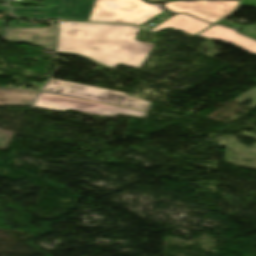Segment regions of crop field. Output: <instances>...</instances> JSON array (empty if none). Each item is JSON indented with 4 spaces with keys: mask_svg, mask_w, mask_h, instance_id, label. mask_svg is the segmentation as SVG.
<instances>
[{
    "mask_svg": "<svg viewBox=\"0 0 256 256\" xmlns=\"http://www.w3.org/2000/svg\"><path fill=\"white\" fill-rule=\"evenodd\" d=\"M58 27L56 53L85 57L109 68L118 63L140 68L153 47L134 40L140 30L134 26L64 22Z\"/></svg>",
    "mask_w": 256,
    "mask_h": 256,
    "instance_id": "1",
    "label": "crop field"
},
{
    "mask_svg": "<svg viewBox=\"0 0 256 256\" xmlns=\"http://www.w3.org/2000/svg\"><path fill=\"white\" fill-rule=\"evenodd\" d=\"M163 11L161 4L143 0H97L88 21L140 25Z\"/></svg>",
    "mask_w": 256,
    "mask_h": 256,
    "instance_id": "2",
    "label": "crop field"
},
{
    "mask_svg": "<svg viewBox=\"0 0 256 256\" xmlns=\"http://www.w3.org/2000/svg\"><path fill=\"white\" fill-rule=\"evenodd\" d=\"M56 28L9 29L4 38L12 43L33 44L54 51Z\"/></svg>",
    "mask_w": 256,
    "mask_h": 256,
    "instance_id": "7",
    "label": "crop field"
},
{
    "mask_svg": "<svg viewBox=\"0 0 256 256\" xmlns=\"http://www.w3.org/2000/svg\"><path fill=\"white\" fill-rule=\"evenodd\" d=\"M45 91L61 93L96 101H102L127 107H132L141 110H148L149 102L134 99L127 96L125 93L84 86L66 81L50 79Z\"/></svg>",
    "mask_w": 256,
    "mask_h": 256,
    "instance_id": "3",
    "label": "crop field"
},
{
    "mask_svg": "<svg viewBox=\"0 0 256 256\" xmlns=\"http://www.w3.org/2000/svg\"><path fill=\"white\" fill-rule=\"evenodd\" d=\"M240 33L256 39V24L245 26Z\"/></svg>",
    "mask_w": 256,
    "mask_h": 256,
    "instance_id": "11",
    "label": "crop field"
},
{
    "mask_svg": "<svg viewBox=\"0 0 256 256\" xmlns=\"http://www.w3.org/2000/svg\"><path fill=\"white\" fill-rule=\"evenodd\" d=\"M96 0H43V8H12L15 16L60 20L87 21ZM38 11L39 14L33 13Z\"/></svg>",
    "mask_w": 256,
    "mask_h": 256,
    "instance_id": "4",
    "label": "crop field"
},
{
    "mask_svg": "<svg viewBox=\"0 0 256 256\" xmlns=\"http://www.w3.org/2000/svg\"><path fill=\"white\" fill-rule=\"evenodd\" d=\"M35 107L64 111L68 109L82 111L98 116L110 117L117 113L145 117L147 113L124 109L77 98L61 96L42 92L37 100Z\"/></svg>",
    "mask_w": 256,
    "mask_h": 256,
    "instance_id": "5",
    "label": "crop field"
},
{
    "mask_svg": "<svg viewBox=\"0 0 256 256\" xmlns=\"http://www.w3.org/2000/svg\"><path fill=\"white\" fill-rule=\"evenodd\" d=\"M149 1H157V0H149Z\"/></svg>",
    "mask_w": 256,
    "mask_h": 256,
    "instance_id": "13",
    "label": "crop field"
},
{
    "mask_svg": "<svg viewBox=\"0 0 256 256\" xmlns=\"http://www.w3.org/2000/svg\"><path fill=\"white\" fill-rule=\"evenodd\" d=\"M199 36L228 42L256 55V41L236 33L235 30L215 25L199 34Z\"/></svg>",
    "mask_w": 256,
    "mask_h": 256,
    "instance_id": "8",
    "label": "crop field"
},
{
    "mask_svg": "<svg viewBox=\"0 0 256 256\" xmlns=\"http://www.w3.org/2000/svg\"><path fill=\"white\" fill-rule=\"evenodd\" d=\"M39 91L0 88V105L32 106Z\"/></svg>",
    "mask_w": 256,
    "mask_h": 256,
    "instance_id": "10",
    "label": "crop field"
},
{
    "mask_svg": "<svg viewBox=\"0 0 256 256\" xmlns=\"http://www.w3.org/2000/svg\"><path fill=\"white\" fill-rule=\"evenodd\" d=\"M240 5H252L256 7V0H241Z\"/></svg>",
    "mask_w": 256,
    "mask_h": 256,
    "instance_id": "12",
    "label": "crop field"
},
{
    "mask_svg": "<svg viewBox=\"0 0 256 256\" xmlns=\"http://www.w3.org/2000/svg\"><path fill=\"white\" fill-rule=\"evenodd\" d=\"M211 24L205 23L204 21L193 18L189 15H176L167 21L163 22L159 26L155 27L151 31H158L162 28H172L176 30H180L189 35H194L207 28Z\"/></svg>",
    "mask_w": 256,
    "mask_h": 256,
    "instance_id": "9",
    "label": "crop field"
},
{
    "mask_svg": "<svg viewBox=\"0 0 256 256\" xmlns=\"http://www.w3.org/2000/svg\"><path fill=\"white\" fill-rule=\"evenodd\" d=\"M239 1H196V2H168L164 5L175 13H188L210 23H215L237 8Z\"/></svg>",
    "mask_w": 256,
    "mask_h": 256,
    "instance_id": "6",
    "label": "crop field"
}]
</instances>
